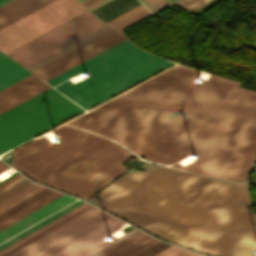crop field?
Instances as JSON below:
<instances>
[{
	"instance_id": "crop-field-18",
	"label": "crop field",
	"mask_w": 256,
	"mask_h": 256,
	"mask_svg": "<svg viewBox=\"0 0 256 256\" xmlns=\"http://www.w3.org/2000/svg\"><path fill=\"white\" fill-rule=\"evenodd\" d=\"M150 237L151 236L141 232L99 256H119Z\"/></svg>"
},
{
	"instance_id": "crop-field-9",
	"label": "crop field",
	"mask_w": 256,
	"mask_h": 256,
	"mask_svg": "<svg viewBox=\"0 0 256 256\" xmlns=\"http://www.w3.org/2000/svg\"><path fill=\"white\" fill-rule=\"evenodd\" d=\"M33 74L0 91V114L49 89Z\"/></svg>"
},
{
	"instance_id": "crop-field-20",
	"label": "crop field",
	"mask_w": 256,
	"mask_h": 256,
	"mask_svg": "<svg viewBox=\"0 0 256 256\" xmlns=\"http://www.w3.org/2000/svg\"><path fill=\"white\" fill-rule=\"evenodd\" d=\"M52 191L53 190H50V189H47V188L39 191L38 193L34 194L33 196L27 198L26 200L22 201L21 203L15 205L14 207H12L9 210L0 214V221L3 220L4 218L10 216L11 214L17 212L18 210L24 208L25 206L33 203L34 201L40 199L41 197L47 195L48 193H50Z\"/></svg>"
},
{
	"instance_id": "crop-field-2",
	"label": "crop field",
	"mask_w": 256,
	"mask_h": 256,
	"mask_svg": "<svg viewBox=\"0 0 256 256\" xmlns=\"http://www.w3.org/2000/svg\"><path fill=\"white\" fill-rule=\"evenodd\" d=\"M61 142L40 137L13 151V166L38 182L87 199L122 172L132 155L115 142L63 125Z\"/></svg>"
},
{
	"instance_id": "crop-field-32",
	"label": "crop field",
	"mask_w": 256,
	"mask_h": 256,
	"mask_svg": "<svg viewBox=\"0 0 256 256\" xmlns=\"http://www.w3.org/2000/svg\"><path fill=\"white\" fill-rule=\"evenodd\" d=\"M9 1H11V0H0V6L5 4V3H7V2H9Z\"/></svg>"
},
{
	"instance_id": "crop-field-29",
	"label": "crop field",
	"mask_w": 256,
	"mask_h": 256,
	"mask_svg": "<svg viewBox=\"0 0 256 256\" xmlns=\"http://www.w3.org/2000/svg\"><path fill=\"white\" fill-rule=\"evenodd\" d=\"M108 1H110V0H98V1H96V2H94V3H92V4H90V5H88V6H86V7H88V8L90 9V11H91V10H93V9H95V8H97V7H99L100 5H102V4L106 3V2H108Z\"/></svg>"
},
{
	"instance_id": "crop-field-24",
	"label": "crop field",
	"mask_w": 256,
	"mask_h": 256,
	"mask_svg": "<svg viewBox=\"0 0 256 256\" xmlns=\"http://www.w3.org/2000/svg\"><path fill=\"white\" fill-rule=\"evenodd\" d=\"M91 207H93V206H91V205H90V206H88V207L84 208L83 210H81V211H79V212L75 213L74 215H72V216L68 217L67 219H65V220L61 221L60 223H58V224L54 225L53 227H51V228H49V229L45 230L44 232H42V233L38 234L37 236H35V237L31 238L30 240H28V241L24 242L23 244H21V245H19V246L15 247L14 249H12V250L8 251L7 253H5V254H3V255H1V256H7L8 254H10V253H12V252L16 251L17 249H19V248L23 247L24 245H26V244L30 243L31 241H33V240L37 239L38 237H40V236L44 235L45 233H47V232L51 231L52 229H54V228L58 227L59 225H61V224L65 223L66 221H68V220L72 219L73 217H75V216L79 215L80 213H82V212L86 211L87 209H89V208H91Z\"/></svg>"
},
{
	"instance_id": "crop-field-3",
	"label": "crop field",
	"mask_w": 256,
	"mask_h": 256,
	"mask_svg": "<svg viewBox=\"0 0 256 256\" xmlns=\"http://www.w3.org/2000/svg\"><path fill=\"white\" fill-rule=\"evenodd\" d=\"M172 64L138 49L127 39L46 82L54 86L87 72L90 77L55 86L86 110Z\"/></svg>"
},
{
	"instance_id": "crop-field-10",
	"label": "crop field",
	"mask_w": 256,
	"mask_h": 256,
	"mask_svg": "<svg viewBox=\"0 0 256 256\" xmlns=\"http://www.w3.org/2000/svg\"><path fill=\"white\" fill-rule=\"evenodd\" d=\"M74 200L76 199L64 195L57 200L49 203L48 205L42 207L41 209L33 212L32 214L26 216L25 218L19 220L18 222L10 225L9 227L0 231V242L11 237L12 235L18 233L19 231L25 229L26 227L32 225L33 223L39 221L40 219L55 212L56 210L62 208L63 206L69 204Z\"/></svg>"
},
{
	"instance_id": "crop-field-31",
	"label": "crop field",
	"mask_w": 256,
	"mask_h": 256,
	"mask_svg": "<svg viewBox=\"0 0 256 256\" xmlns=\"http://www.w3.org/2000/svg\"><path fill=\"white\" fill-rule=\"evenodd\" d=\"M94 1H96V0H85V1H83L81 3L86 6V5H88V4H90V3L94 2Z\"/></svg>"
},
{
	"instance_id": "crop-field-21",
	"label": "crop field",
	"mask_w": 256,
	"mask_h": 256,
	"mask_svg": "<svg viewBox=\"0 0 256 256\" xmlns=\"http://www.w3.org/2000/svg\"><path fill=\"white\" fill-rule=\"evenodd\" d=\"M31 183L32 182L23 177L18 181L14 182L13 184L9 185L8 187L4 188L0 191V202Z\"/></svg>"
},
{
	"instance_id": "crop-field-14",
	"label": "crop field",
	"mask_w": 256,
	"mask_h": 256,
	"mask_svg": "<svg viewBox=\"0 0 256 256\" xmlns=\"http://www.w3.org/2000/svg\"><path fill=\"white\" fill-rule=\"evenodd\" d=\"M63 194L58 193L56 191L48 194L47 196L41 198L40 200L34 202L33 204L27 206L26 208L18 211L17 213L11 215L10 217L4 219L0 222V230L9 226L10 224L16 222L17 220L25 217L26 215L32 213L33 211L41 208L42 206L48 204L49 202L57 199L58 197L62 196Z\"/></svg>"
},
{
	"instance_id": "crop-field-34",
	"label": "crop field",
	"mask_w": 256,
	"mask_h": 256,
	"mask_svg": "<svg viewBox=\"0 0 256 256\" xmlns=\"http://www.w3.org/2000/svg\"><path fill=\"white\" fill-rule=\"evenodd\" d=\"M251 48L256 50V42L251 46Z\"/></svg>"
},
{
	"instance_id": "crop-field-4",
	"label": "crop field",
	"mask_w": 256,
	"mask_h": 256,
	"mask_svg": "<svg viewBox=\"0 0 256 256\" xmlns=\"http://www.w3.org/2000/svg\"><path fill=\"white\" fill-rule=\"evenodd\" d=\"M83 111L49 89L0 115V154Z\"/></svg>"
},
{
	"instance_id": "crop-field-30",
	"label": "crop field",
	"mask_w": 256,
	"mask_h": 256,
	"mask_svg": "<svg viewBox=\"0 0 256 256\" xmlns=\"http://www.w3.org/2000/svg\"><path fill=\"white\" fill-rule=\"evenodd\" d=\"M7 167H9V166H7V165H5L4 163H2L1 161H0V172H2L4 169H6Z\"/></svg>"
},
{
	"instance_id": "crop-field-28",
	"label": "crop field",
	"mask_w": 256,
	"mask_h": 256,
	"mask_svg": "<svg viewBox=\"0 0 256 256\" xmlns=\"http://www.w3.org/2000/svg\"><path fill=\"white\" fill-rule=\"evenodd\" d=\"M23 177L19 173L11 177L10 179L6 180L2 184H0V190L3 189L4 187L8 186L9 184L13 183L14 181L18 180L19 178Z\"/></svg>"
},
{
	"instance_id": "crop-field-7",
	"label": "crop field",
	"mask_w": 256,
	"mask_h": 256,
	"mask_svg": "<svg viewBox=\"0 0 256 256\" xmlns=\"http://www.w3.org/2000/svg\"><path fill=\"white\" fill-rule=\"evenodd\" d=\"M104 24L88 10L6 54L25 67Z\"/></svg>"
},
{
	"instance_id": "crop-field-27",
	"label": "crop field",
	"mask_w": 256,
	"mask_h": 256,
	"mask_svg": "<svg viewBox=\"0 0 256 256\" xmlns=\"http://www.w3.org/2000/svg\"><path fill=\"white\" fill-rule=\"evenodd\" d=\"M139 232H140V231H138V230H137V231H135V232H133V233L129 234L128 236H126V237L122 238L121 240H119V241H117V242L113 243L112 245H110V246L106 247L105 249H103V250H101V251L97 252L96 254H94V255H92V256H97L98 254H100V253H102V252H104V251L108 250L109 248H111V247H113V246H115V245L119 244L120 242H122V241H124V240H126V239L130 238L131 236H133V235H135V234H137V233H139Z\"/></svg>"
},
{
	"instance_id": "crop-field-15",
	"label": "crop field",
	"mask_w": 256,
	"mask_h": 256,
	"mask_svg": "<svg viewBox=\"0 0 256 256\" xmlns=\"http://www.w3.org/2000/svg\"><path fill=\"white\" fill-rule=\"evenodd\" d=\"M83 203H85V202H84V201H81V200H78V201L72 203L71 205H69V206L63 208L62 210L56 212L55 214L49 216L48 218L42 220L41 222H39V223L33 225L32 227L26 229L25 231H23V232L19 233L18 235L12 237L11 239H9V240L3 242L2 244H0V250L3 249V248H5V247H7L8 245H10V244L16 242L17 240L23 238L24 236L30 234L31 232H33V231L39 229L40 227L46 225L47 223H49V222L55 220L56 218L62 216L63 214L69 212L70 210H72V209L78 207L79 205H81V204H83Z\"/></svg>"
},
{
	"instance_id": "crop-field-26",
	"label": "crop field",
	"mask_w": 256,
	"mask_h": 256,
	"mask_svg": "<svg viewBox=\"0 0 256 256\" xmlns=\"http://www.w3.org/2000/svg\"><path fill=\"white\" fill-rule=\"evenodd\" d=\"M149 10L173 0H140Z\"/></svg>"
},
{
	"instance_id": "crop-field-6",
	"label": "crop field",
	"mask_w": 256,
	"mask_h": 256,
	"mask_svg": "<svg viewBox=\"0 0 256 256\" xmlns=\"http://www.w3.org/2000/svg\"><path fill=\"white\" fill-rule=\"evenodd\" d=\"M86 10L76 0H55L0 29V50L6 53Z\"/></svg>"
},
{
	"instance_id": "crop-field-23",
	"label": "crop field",
	"mask_w": 256,
	"mask_h": 256,
	"mask_svg": "<svg viewBox=\"0 0 256 256\" xmlns=\"http://www.w3.org/2000/svg\"><path fill=\"white\" fill-rule=\"evenodd\" d=\"M199 255L200 254L172 245L154 256H199Z\"/></svg>"
},
{
	"instance_id": "crop-field-33",
	"label": "crop field",
	"mask_w": 256,
	"mask_h": 256,
	"mask_svg": "<svg viewBox=\"0 0 256 256\" xmlns=\"http://www.w3.org/2000/svg\"><path fill=\"white\" fill-rule=\"evenodd\" d=\"M17 172L13 173L12 175H10L9 177H7L6 179L10 178L11 176H13L14 174H16ZM6 179L0 181V183H2L3 181H5Z\"/></svg>"
},
{
	"instance_id": "crop-field-22",
	"label": "crop field",
	"mask_w": 256,
	"mask_h": 256,
	"mask_svg": "<svg viewBox=\"0 0 256 256\" xmlns=\"http://www.w3.org/2000/svg\"><path fill=\"white\" fill-rule=\"evenodd\" d=\"M208 0H177L174 1L172 3H175L177 5H180L192 12H194L195 10H197L200 6H202L204 3H206ZM171 3L161 6L159 8L153 9L151 10V13L154 14L155 12L159 11L160 9L170 5Z\"/></svg>"
},
{
	"instance_id": "crop-field-12",
	"label": "crop field",
	"mask_w": 256,
	"mask_h": 256,
	"mask_svg": "<svg viewBox=\"0 0 256 256\" xmlns=\"http://www.w3.org/2000/svg\"><path fill=\"white\" fill-rule=\"evenodd\" d=\"M112 29L114 28L106 24L25 68L32 72Z\"/></svg>"
},
{
	"instance_id": "crop-field-17",
	"label": "crop field",
	"mask_w": 256,
	"mask_h": 256,
	"mask_svg": "<svg viewBox=\"0 0 256 256\" xmlns=\"http://www.w3.org/2000/svg\"><path fill=\"white\" fill-rule=\"evenodd\" d=\"M43 188L44 187L39 186L35 183L29 185L28 187H26L23 190L19 191L18 193L14 194L13 196L9 197L8 199L2 201L0 203V213L9 209L10 207L21 202L22 200L26 199L27 197L33 195L34 193L38 192L39 190H41Z\"/></svg>"
},
{
	"instance_id": "crop-field-35",
	"label": "crop field",
	"mask_w": 256,
	"mask_h": 256,
	"mask_svg": "<svg viewBox=\"0 0 256 256\" xmlns=\"http://www.w3.org/2000/svg\"><path fill=\"white\" fill-rule=\"evenodd\" d=\"M78 1H80V2H81V1H83V0H78Z\"/></svg>"
},
{
	"instance_id": "crop-field-5",
	"label": "crop field",
	"mask_w": 256,
	"mask_h": 256,
	"mask_svg": "<svg viewBox=\"0 0 256 256\" xmlns=\"http://www.w3.org/2000/svg\"><path fill=\"white\" fill-rule=\"evenodd\" d=\"M109 215L93 207L8 256H77L125 224Z\"/></svg>"
},
{
	"instance_id": "crop-field-8",
	"label": "crop field",
	"mask_w": 256,
	"mask_h": 256,
	"mask_svg": "<svg viewBox=\"0 0 256 256\" xmlns=\"http://www.w3.org/2000/svg\"><path fill=\"white\" fill-rule=\"evenodd\" d=\"M125 39L114 29L32 73L46 81Z\"/></svg>"
},
{
	"instance_id": "crop-field-19",
	"label": "crop field",
	"mask_w": 256,
	"mask_h": 256,
	"mask_svg": "<svg viewBox=\"0 0 256 256\" xmlns=\"http://www.w3.org/2000/svg\"><path fill=\"white\" fill-rule=\"evenodd\" d=\"M88 205H89V204L85 203V204H83V205L79 206L78 208H76V209H74V210L70 211L69 213H67V214L63 215L62 217H60V218L56 219L55 221H53V222H51V223L47 224L46 226H44V227L40 228L39 230H37V231H35V232L31 233L30 235H28V236L24 237L23 239H21V240L17 241L16 243H14V244H12V245L8 246L7 248H5V249H3V250H1V251H0V255H1V254H3V253H5V252H7L8 250H10V249L14 248L15 246H17V245H19V244L23 243L24 241H26V240L30 239L31 237H33V236L37 235L38 233H40V232L44 231L45 229H47V228H49V227L53 226L54 224H56V223L60 222L61 220H63V219H65V218H67L68 216H70V215L74 214L75 212H77V211H79V210L83 209L84 207H86V206H88Z\"/></svg>"
},
{
	"instance_id": "crop-field-25",
	"label": "crop field",
	"mask_w": 256,
	"mask_h": 256,
	"mask_svg": "<svg viewBox=\"0 0 256 256\" xmlns=\"http://www.w3.org/2000/svg\"><path fill=\"white\" fill-rule=\"evenodd\" d=\"M135 230H137V229L135 228V229L131 230L130 232L126 233L125 235L121 236L120 238H122V237L128 235L129 233H131V232H133V231H135ZM120 238L116 239L115 241L119 240ZM115 241H113V242H115ZM113 242H111V243H113ZM111 243L106 240V241L100 243L99 245L93 247L92 249H90V250L84 252L83 254H81V255H79V256H90V255H92L93 253H95V252L101 250L102 248H104V247L110 245Z\"/></svg>"
},
{
	"instance_id": "crop-field-11",
	"label": "crop field",
	"mask_w": 256,
	"mask_h": 256,
	"mask_svg": "<svg viewBox=\"0 0 256 256\" xmlns=\"http://www.w3.org/2000/svg\"><path fill=\"white\" fill-rule=\"evenodd\" d=\"M53 0H13L0 7V28L33 12Z\"/></svg>"
},
{
	"instance_id": "crop-field-1",
	"label": "crop field",
	"mask_w": 256,
	"mask_h": 256,
	"mask_svg": "<svg viewBox=\"0 0 256 256\" xmlns=\"http://www.w3.org/2000/svg\"><path fill=\"white\" fill-rule=\"evenodd\" d=\"M176 65L67 124L102 134L162 164L246 181L256 162V92ZM181 144V147L178 145Z\"/></svg>"
},
{
	"instance_id": "crop-field-36",
	"label": "crop field",
	"mask_w": 256,
	"mask_h": 256,
	"mask_svg": "<svg viewBox=\"0 0 256 256\" xmlns=\"http://www.w3.org/2000/svg\"><path fill=\"white\" fill-rule=\"evenodd\" d=\"M201 256H203V255H201Z\"/></svg>"
},
{
	"instance_id": "crop-field-13",
	"label": "crop field",
	"mask_w": 256,
	"mask_h": 256,
	"mask_svg": "<svg viewBox=\"0 0 256 256\" xmlns=\"http://www.w3.org/2000/svg\"><path fill=\"white\" fill-rule=\"evenodd\" d=\"M9 57L3 55L2 53H0V62L7 59ZM20 65H18L16 62H14L13 60H11L10 58L1 62L0 63V76L16 67H18ZM32 73H30L29 71H27L26 69H24L23 67H18L4 75H2L0 77V90L13 84L14 82L30 75Z\"/></svg>"
},
{
	"instance_id": "crop-field-16",
	"label": "crop field",
	"mask_w": 256,
	"mask_h": 256,
	"mask_svg": "<svg viewBox=\"0 0 256 256\" xmlns=\"http://www.w3.org/2000/svg\"><path fill=\"white\" fill-rule=\"evenodd\" d=\"M148 15H150V13L141 4L107 23L122 30L124 27H126V26L148 16Z\"/></svg>"
}]
</instances>
